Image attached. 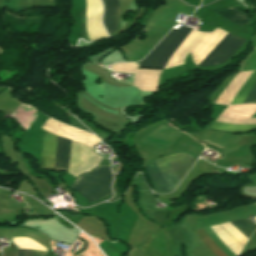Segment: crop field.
<instances>
[{
	"label": "crop field",
	"instance_id": "3",
	"mask_svg": "<svg viewBox=\"0 0 256 256\" xmlns=\"http://www.w3.org/2000/svg\"><path fill=\"white\" fill-rule=\"evenodd\" d=\"M111 175L112 173L110 171V167L100 166L94 172L81 174V176L73 183L71 188L78 191L94 182L102 180ZM112 180H113V176L106 178L102 181H99L97 183H94L78 191V193H80L90 202L110 196L112 195V191H111Z\"/></svg>",
	"mask_w": 256,
	"mask_h": 256
},
{
	"label": "crop field",
	"instance_id": "4",
	"mask_svg": "<svg viewBox=\"0 0 256 256\" xmlns=\"http://www.w3.org/2000/svg\"><path fill=\"white\" fill-rule=\"evenodd\" d=\"M57 137L46 133L43 137V150L41 155V168L54 170ZM70 140L58 137L55 170L68 168Z\"/></svg>",
	"mask_w": 256,
	"mask_h": 256
},
{
	"label": "crop field",
	"instance_id": "11",
	"mask_svg": "<svg viewBox=\"0 0 256 256\" xmlns=\"http://www.w3.org/2000/svg\"><path fill=\"white\" fill-rule=\"evenodd\" d=\"M209 143V142H208Z\"/></svg>",
	"mask_w": 256,
	"mask_h": 256
},
{
	"label": "crop field",
	"instance_id": "2",
	"mask_svg": "<svg viewBox=\"0 0 256 256\" xmlns=\"http://www.w3.org/2000/svg\"><path fill=\"white\" fill-rule=\"evenodd\" d=\"M169 156L178 172L180 173L182 179L196 160L191 155L182 152L171 154ZM169 156L150 163V166L157 179L159 180L161 186L163 187L165 193L173 191L177 187L178 183L182 180ZM150 166L146 165L144 167L153 188L160 193H164Z\"/></svg>",
	"mask_w": 256,
	"mask_h": 256
},
{
	"label": "crop field",
	"instance_id": "10",
	"mask_svg": "<svg viewBox=\"0 0 256 256\" xmlns=\"http://www.w3.org/2000/svg\"><path fill=\"white\" fill-rule=\"evenodd\" d=\"M35 251L17 250L16 256H33ZM34 256H47V253L36 251Z\"/></svg>",
	"mask_w": 256,
	"mask_h": 256
},
{
	"label": "crop field",
	"instance_id": "7",
	"mask_svg": "<svg viewBox=\"0 0 256 256\" xmlns=\"http://www.w3.org/2000/svg\"><path fill=\"white\" fill-rule=\"evenodd\" d=\"M103 3L105 6L104 24L109 35H111L118 25L117 17L120 7L117 0H103Z\"/></svg>",
	"mask_w": 256,
	"mask_h": 256
},
{
	"label": "crop field",
	"instance_id": "9",
	"mask_svg": "<svg viewBox=\"0 0 256 256\" xmlns=\"http://www.w3.org/2000/svg\"><path fill=\"white\" fill-rule=\"evenodd\" d=\"M211 128L230 131V132H238V131H250L256 128V125H232V124H223L214 122Z\"/></svg>",
	"mask_w": 256,
	"mask_h": 256
},
{
	"label": "crop field",
	"instance_id": "8",
	"mask_svg": "<svg viewBox=\"0 0 256 256\" xmlns=\"http://www.w3.org/2000/svg\"><path fill=\"white\" fill-rule=\"evenodd\" d=\"M215 12L239 27L249 24V18L238 11L235 7L215 10Z\"/></svg>",
	"mask_w": 256,
	"mask_h": 256
},
{
	"label": "crop field",
	"instance_id": "1",
	"mask_svg": "<svg viewBox=\"0 0 256 256\" xmlns=\"http://www.w3.org/2000/svg\"><path fill=\"white\" fill-rule=\"evenodd\" d=\"M184 27L185 26L183 25L178 29H173L168 35H166L154 48V50L142 62H139V68H155L158 61ZM192 30L193 29L188 27L182 30V32L178 35L167 52L164 54L162 59L159 61L156 68L164 69L169 59ZM244 42L245 40L237 38L228 33L198 66H210L225 63Z\"/></svg>",
	"mask_w": 256,
	"mask_h": 256
},
{
	"label": "crop field",
	"instance_id": "6",
	"mask_svg": "<svg viewBox=\"0 0 256 256\" xmlns=\"http://www.w3.org/2000/svg\"><path fill=\"white\" fill-rule=\"evenodd\" d=\"M255 81H256V71H253L250 74V76L247 78V80L245 81V83L243 84V86L241 87L239 92L236 94V96L234 97V99L232 100L230 105L241 103L242 100L245 98V96L250 91V89L253 86ZM252 101H256V82L242 103H248V102H252Z\"/></svg>",
	"mask_w": 256,
	"mask_h": 256
},
{
	"label": "crop field",
	"instance_id": "5",
	"mask_svg": "<svg viewBox=\"0 0 256 256\" xmlns=\"http://www.w3.org/2000/svg\"><path fill=\"white\" fill-rule=\"evenodd\" d=\"M230 223L247 239L256 229V225L249 221L248 219H239L230 221ZM199 237L203 242L215 253L216 256H228L224 251H222L207 235L204 228L197 230Z\"/></svg>",
	"mask_w": 256,
	"mask_h": 256
}]
</instances>
